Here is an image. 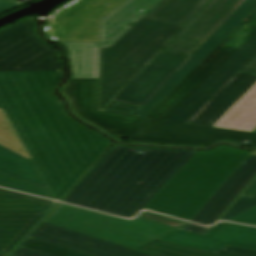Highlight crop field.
I'll return each mask as SVG.
<instances>
[{
    "instance_id": "crop-field-1",
    "label": "crop field",
    "mask_w": 256,
    "mask_h": 256,
    "mask_svg": "<svg viewBox=\"0 0 256 256\" xmlns=\"http://www.w3.org/2000/svg\"><path fill=\"white\" fill-rule=\"evenodd\" d=\"M60 71L0 72V102L59 200L111 144L68 118L53 96Z\"/></svg>"
},
{
    "instance_id": "crop-field-2",
    "label": "crop field",
    "mask_w": 256,
    "mask_h": 256,
    "mask_svg": "<svg viewBox=\"0 0 256 256\" xmlns=\"http://www.w3.org/2000/svg\"><path fill=\"white\" fill-rule=\"evenodd\" d=\"M196 153L115 145L64 202L134 217Z\"/></svg>"
},
{
    "instance_id": "crop-field-3",
    "label": "crop field",
    "mask_w": 256,
    "mask_h": 256,
    "mask_svg": "<svg viewBox=\"0 0 256 256\" xmlns=\"http://www.w3.org/2000/svg\"><path fill=\"white\" fill-rule=\"evenodd\" d=\"M249 154L232 147L198 152L144 209L189 221Z\"/></svg>"
},
{
    "instance_id": "crop-field-4",
    "label": "crop field",
    "mask_w": 256,
    "mask_h": 256,
    "mask_svg": "<svg viewBox=\"0 0 256 256\" xmlns=\"http://www.w3.org/2000/svg\"><path fill=\"white\" fill-rule=\"evenodd\" d=\"M181 28L142 19L110 48L100 49L99 110L103 111Z\"/></svg>"
},
{
    "instance_id": "crop-field-5",
    "label": "crop field",
    "mask_w": 256,
    "mask_h": 256,
    "mask_svg": "<svg viewBox=\"0 0 256 256\" xmlns=\"http://www.w3.org/2000/svg\"><path fill=\"white\" fill-rule=\"evenodd\" d=\"M46 222L135 249L175 229L185 221L142 212L134 220L121 219L61 203Z\"/></svg>"
},
{
    "instance_id": "crop-field-6",
    "label": "crop field",
    "mask_w": 256,
    "mask_h": 256,
    "mask_svg": "<svg viewBox=\"0 0 256 256\" xmlns=\"http://www.w3.org/2000/svg\"><path fill=\"white\" fill-rule=\"evenodd\" d=\"M161 0H126L100 20V43L58 42L67 49L72 78H99V48L110 47ZM144 11L143 13L138 12Z\"/></svg>"
},
{
    "instance_id": "crop-field-7",
    "label": "crop field",
    "mask_w": 256,
    "mask_h": 256,
    "mask_svg": "<svg viewBox=\"0 0 256 256\" xmlns=\"http://www.w3.org/2000/svg\"><path fill=\"white\" fill-rule=\"evenodd\" d=\"M233 140L256 147V134L215 127L175 123L146 118L127 138L130 143L205 146L219 140ZM248 141L247 144L243 143Z\"/></svg>"
},
{
    "instance_id": "crop-field-8",
    "label": "crop field",
    "mask_w": 256,
    "mask_h": 256,
    "mask_svg": "<svg viewBox=\"0 0 256 256\" xmlns=\"http://www.w3.org/2000/svg\"><path fill=\"white\" fill-rule=\"evenodd\" d=\"M60 70L57 52L40 41L34 17L0 32V71Z\"/></svg>"
},
{
    "instance_id": "crop-field-9",
    "label": "crop field",
    "mask_w": 256,
    "mask_h": 256,
    "mask_svg": "<svg viewBox=\"0 0 256 256\" xmlns=\"http://www.w3.org/2000/svg\"><path fill=\"white\" fill-rule=\"evenodd\" d=\"M255 31L256 10L146 117L165 120Z\"/></svg>"
},
{
    "instance_id": "crop-field-10",
    "label": "crop field",
    "mask_w": 256,
    "mask_h": 256,
    "mask_svg": "<svg viewBox=\"0 0 256 256\" xmlns=\"http://www.w3.org/2000/svg\"><path fill=\"white\" fill-rule=\"evenodd\" d=\"M99 79H71L62 92L74 112L117 139H125L145 118L98 111Z\"/></svg>"
},
{
    "instance_id": "crop-field-11",
    "label": "crop field",
    "mask_w": 256,
    "mask_h": 256,
    "mask_svg": "<svg viewBox=\"0 0 256 256\" xmlns=\"http://www.w3.org/2000/svg\"><path fill=\"white\" fill-rule=\"evenodd\" d=\"M256 54V32L166 120L187 123Z\"/></svg>"
},
{
    "instance_id": "crop-field-12",
    "label": "crop field",
    "mask_w": 256,
    "mask_h": 256,
    "mask_svg": "<svg viewBox=\"0 0 256 256\" xmlns=\"http://www.w3.org/2000/svg\"><path fill=\"white\" fill-rule=\"evenodd\" d=\"M158 239L213 253L226 245L256 250V227L220 222L206 236L175 230Z\"/></svg>"
},
{
    "instance_id": "crop-field-13",
    "label": "crop field",
    "mask_w": 256,
    "mask_h": 256,
    "mask_svg": "<svg viewBox=\"0 0 256 256\" xmlns=\"http://www.w3.org/2000/svg\"><path fill=\"white\" fill-rule=\"evenodd\" d=\"M256 9V0L245 2L220 27L208 42L195 53L191 60L167 82V84L144 106L136 116L145 117L156 107L188 74H190L241 22Z\"/></svg>"
},
{
    "instance_id": "crop-field-14",
    "label": "crop field",
    "mask_w": 256,
    "mask_h": 256,
    "mask_svg": "<svg viewBox=\"0 0 256 256\" xmlns=\"http://www.w3.org/2000/svg\"><path fill=\"white\" fill-rule=\"evenodd\" d=\"M31 238L90 256H150L44 222Z\"/></svg>"
},
{
    "instance_id": "crop-field-15",
    "label": "crop field",
    "mask_w": 256,
    "mask_h": 256,
    "mask_svg": "<svg viewBox=\"0 0 256 256\" xmlns=\"http://www.w3.org/2000/svg\"><path fill=\"white\" fill-rule=\"evenodd\" d=\"M256 175V154L251 153L235 173L190 220L211 225Z\"/></svg>"
},
{
    "instance_id": "crop-field-16",
    "label": "crop field",
    "mask_w": 256,
    "mask_h": 256,
    "mask_svg": "<svg viewBox=\"0 0 256 256\" xmlns=\"http://www.w3.org/2000/svg\"><path fill=\"white\" fill-rule=\"evenodd\" d=\"M244 0H212L174 39L202 47Z\"/></svg>"
},
{
    "instance_id": "crop-field-17",
    "label": "crop field",
    "mask_w": 256,
    "mask_h": 256,
    "mask_svg": "<svg viewBox=\"0 0 256 256\" xmlns=\"http://www.w3.org/2000/svg\"><path fill=\"white\" fill-rule=\"evenodd\" d=\"M255 83L256 76L238 73L188 123L212 126Z\"/></svg>"
},
{
    "instance_id": "crop-field-18",
    "label": "crop field",
    "mask_w": 256,
    "mask_h": 256,
    "mask_svg": "<svg viewBox=\"0 0 256 256\" xmlns=\"http://www.w3.org/2000/svg\"><path fill=\"white\" fill-rule=\"evenodd\" d=\"M176 72L147 66L115 100L145 105Z\"/></svg>"
},
{
    "instance_id": "crop-field-19",
    "label": "crop field",
    "mask_w": 256,
    "mask_h": 256,
    "mask_svg": "<svg viewBox=\"0 0 256 256\" xmlns=\"http://www.w3.org/2000/svg\"><path fill=\"white\" fill-rule=\"evenodd\" d=\"M46 212L0 213V252L7 254Z\"/></svg>"
},
{
    "instance_id": "crop-field-20",
    "label": "crop field",
    "mask_w": 256,
    "mask_h": 256,
    "mask_svg": "<svg viewBox=\"0 0 256 256\" xmlns=\"http://www.w3.org/2000/svg\"><path fill=\"white\" fill-rule=\"evenodd\" d=\"M45 32L56 41L99 42V21L53 18Z\"/></svg>"
},
{
    "instance_id": "crop-field-21",
    "label": "crop field",
    "mask_w": 256,
    "mask_h": 256,
    "mask_svg": "<svg viewBox=\"0 0 256 256\" xmlns=\"http://www.w3.org/2000/svg\"><path fill=\"white\" fill-rule=\"evenodd\" d=\"M213 126L252 132L256 129V84Z\"/></svg>"
},
{
    "instance_id": "crop-field-22",
    "label": "crop field",
    "mask_w": 256,
    "mask_h": 256,
    "mask_svg": "<svg viewBox=\"0 0 256 256\" xmlns=\"http://www.w3.org/2000/svg\"><path fill=\"white\" fill-rule=\"evenodd\" d=\"M208 0H162L144 18L184 26Z\"/></svg>"
},
{
    "instance_id": "crop-field-23",
    "label": "crop field",
    "mask_w": 256,
    "mask_h": 256,
    "mask_svg": "<svg viewBox=\"0 0 256 256\" xmlns=\"http://www.w3.org/2000/svg\"><path fill=\"white\" fill-rule=\"evenodd\" d=\"M0 172L48 188L34 162L1 145Z\"/></svg>"
},
{
    "instance_id": "crop-field-24",
    "label": "crop field",
    "mask_w": 256,
    "mask_h": 256,
    "mask_svg": "<svg viewBox=\"0 0 256 256\" xmlns=\"http://www.w3.org/2000/svg\"><path fill=\"white\" fill-rule=\"evenodd\" d=\"M125 0H78L54 17L100 20ZM111 4L110 7L106 6Z\"/></svg>"
},
{
    "instance_id": "crop-field-25",
    "label": "crop field",
    "mask_w": 256,
    "mask_h": 256,
    "mask_svg": "<svg viewBox=\"0 0 256 256\" xmlns=\"http://www.w3.org/2000/svg\"><path fill=\"white\" fill-rule=\"evenodd\" d=\"M54 202L0 189V212L48 211Z\"/></svg>"
},
{
    "instance_id": "crop-field-26",
    "label": "crop field",
    "mask_w": 256,
    "mask_h": 256,
    "mask_svg": "<svg viewBox=\"0 0 256 256\" xmlns=\"http://www.w3.org/2000/svg\"><path fill=\"white\" fill-rule=\"evenodd\" d=\"M135 250L154 256H221L158 239H155Z\"/></svg>"
},
{
    "instance_id": "crop-field-27",
    "label": "crop field",
    "mask_w": 256,
    "mask_h": 256,
    "mask_svg": "<svg viewBox=\"0 0 256 256\" xmlns=\"http://www.w3.org/2000/svg\"><path fill=\"white\" fill-rule=\"evenodd\" d=\"M0 186L54 199L50 190L0 173Z\"/></svg>"
},
{
    "instance_id": "crop-field-28",
    "label": "crop field",
    "mask_w": 256,
    "mask_h": 256,
    "mask_svg": "<svg viewBox=\"0 0 256 256\" xmlns=\"http://www.w3.org/2000/svg\"><path fill=\"white\" fill-rule=\"evenodd\" d=\"M22 246L53 256H87L31 238H29Z\"/></svg>"
},
{
    "instance_id": "crop-field-29",
    "label": "crop field",
    "mask_w": 256,
    "mask_h": 256,
    "mask_svg": "<svg viewBox=\"0 0 256 256\" xmlns=\"http://www.w3.org/2000/svg\"><path fill=\"white\" fill-rule=\"evenodd\" d=\"M0 137L15 144L19 149H21L24 153H26L29 156L24 146L22 145L17 135L15 134L10 122L2 112L1 108H0Z\"/></svg>"
},
{
    "instance_id": "crop-field-30",
    "label": "crop field",
    "mask_w": 256,
    "mask_h": 256,
    "mask_svg": "<svg viewBox=\"0 0 256 256\" xmlns=\"http://www.w3.org/2000/svg\"><path fill=\"white\" fill-rule=\"evenodd\" d=\"M186 58L173 57L158 53L149 65L179 70L187 61Z\"/></svg>"
},
{
    "instance_id": "crop-field-31",
    "label": "crop field",
    "mask_w": 256,
    "mask_h": 256,
    "mask_svg": "<svg viewBox=\"0 0 256 256\" xmlns=\"http://www.w3.org/2000/svg\"><path fill=\"white\" fill-rule=\"evenodd\" d=\"M256 205V196L253 198L240 196L220 220H227Z\"/></svg>"
},
{
    "instance_id": "crop-field-32",
    "label": "crop field",
    "mask_w": 256,
    "mask_h": 256,
    "mask_svg": "<svg viewBox=\"0 0 256 256\" xmlns=\"http://www.w3.org/2000/svg\"><path fill=\"white\" fill-rule=\"evenodd\" d=\"M142 105L112 101L104 111L135 116Z\"/></svg>"
},
{
    "instance_id": "crop-field-33",
    "label": "crop field",
    "mask_w": 256,
    "mask_h": 256,
    "mask_svg": "<svg viewBox=\"0 0 256 256\" xmlns=\"http://www.w3.org/2000/svg\"><path fill=\"white\" fill-rule=\"evenodd\" d=\"M199 49V47L172 41L162 52L191 58V56Z\"/></svg>"
},
{
    "instance_id": "crop-field-34",
    "label": "crop field",
    "mask_w": 256,
    "mask_h": 256,
    "mask_svg": "<svg viewBox=\"0 0 256 256\" xmlns=\"http://www.w3.org/2000/svg\"><path fill=\"white\" fill-rule=\"evenodd\" d=\"M227 221L256 226V206Z\"/></svg>"
},
{
    "instance_id": "crop-field-35",
    "label": "crop field",
    "mask_w": 256,
    "mask_h": 256,
    "mask_svg": "<svg viewBox=\"0 0 256 256\" xmlns=\"http://www.w3.org/2000/svg\"><path fill=\"white\" fill-rule=\"evenodd\" d=\"M217 254L225 256H256V251L226 246L218 251Z\"/></svg>"
},
{
    "instance_id": "crop-field-36",
    "label": "crop field",
    "mask_w": 256,
    "mask_h": 256,
    "mask_svg": "<svg viewBox=\"0 0 256 256\" xmlns=\"http://www.w3.org/2000/svg\"><path fill=\"white\" fill-rule=\"evenodd\" d=\"M183 230L188 231V232H193V233L206 235L207 232L210 230V228H205V227H202V226H198V225L188 223Z\"/></svg>"
},
{
    "instance_id": "crop-field-37",
    "label": "crop field",
    "mask_w": 256,
    "mask_h": 256,
    "mask_svg": "<svg viewBox=\"0 0 256 256\" xmlns=\"http://www.w3.org/2000/svg\"><path fill=\"white\" fill-rule=\"evenodd\" d=\"M23 3H19L15 0H0V13L7 11L11 8L19 6Z\"/></svg>"
},
{
    "instance_id": "crop-field-38",
    "label": "crop field",
    "mask_w": 256,
    "mask_h": 256,
    "mask_svg": "<svg viewBox=\"0 0 256 256\" xmlns=\"http://www.w3.org/2000/svg\"><path fill=\"white\" fill-rule=\"evenodd\" d=\"M240 71L256 75V55Z\"/></svg>"
},
{
    "instance_id": "crop-field-39",
    "label": "crop field",
    "mask_w": 256,
    "mask_h": 256,
    "mask_svg": "<svg viewBox=\"0 0 256 256\" xmlns=\"http://www.w3.org/2000/svg\"><path fill=\"white\" fill-rule=\"evenodd\" d=\"M14 256H49V255L21 247Z\"/></svg>"
},
{
    "instance_id": "crop-field-40",
    "label": "crop field",
    "mask_w": 256,
    "mask_h": 256,
    "mask_svg": "<svg viewBox=\"0 0 256 256\" xmlns=\"http://www.w3.org/2000/svg\"><path fill=\"white\" fill-rule=\"evenodd\" d=\"M243 196L253 197L256 195V179L248 186V188L242 193Z\"/></svg>"
},
{
    "instance_id": "crop-field-41",
    "label": "crop field",
    "mask_w": 256,
    "mask_h": 256,
    "mask_svg": "<svg viewBox=\"0 0 256 256\" xmlns=\"http://www.w3.org/2000/svg\"><path fill=\"white\" fill-rule=\"evenodd\" d=\"M0 144L5 146V147H7V148H9V149H11V150H13L14 152H16V153H18L20 155L30 159L27 155H25L22 151H20L16 146H14V145H12V144H10V143L2 140V139H0Z\"/></svg>"
},
{
    "instance_id": "crop-field-42",
    "label": "crop field",
    "mask_w": 256,
    "mask_h": 256,
    "mask_svg": "<svg viewBox=\"0 0 256 256\" xmlns=\"http://www.w3.org/2000/svg\"><path fill=\"white\" fill-rule=\"evenodd\" d=\"M254 132L256 133V130Z\"/></svg>"
}]
</instances>
